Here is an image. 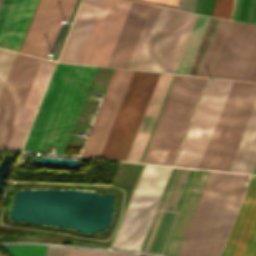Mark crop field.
<instances>
[{
  "label": "crop field",
  "mask_w": 256,
  "mask_h": 256,
  "mask_svg": "<svg viewBox=\"0 0 256 256\" xmlns=\"http://www.w3.org/2000/svg\"><path fill=\"white\" fill-rule=\"evenodd\" d=\"M159 75L114 70L80 156L127 160Z\"/></svg>",
  "instance_id": "1"
},
{
  "label": "crop field",
  "mask_w": 256,
  "mask_h": 256,
  "mask_svg": "<svg viewBox=\"0 0 256 256\" xmlns=\"http://www.w3.org/2000/svg\"><path fill=\"white\" fill-rule=\"evenodd\" d=\"M97 68L56 64L23 150L64 153Z\"/></svg>",
  "instance_id": "2"
},
{
  "label": "crop field",
  "mask_w": 256,
  "mask_h": 256,
  "mask_svg": "<svg viewBox=\"0 0 256 256\" xmlns=\"http://www.w3.org/2000/svg\"><path fill=\"white\" fill-rule=\"evenodd\" d=\"M42 59L17 53L0 95V147L6 148ZM55 63L42 60L7 148L20 149Z\"/></svg>",
  "instance_id": "3"
},
{
  "label": "crop field",
  "mask_w": 256,
  "mask_h": 256,
  "mask_svg": "<svg viewBox=\"0 0 256 256\" xmlns=\"http://www.w3.org/2000/svg\"><path fill=\"white\" fill-rule=\"evenodd\" d=\"M197 16L152 5L127 68L175 73Z\"/></svg>",
  "instance_id": "4"
},
{
  "label": "crop field",
  "mask_w": 256,
  "mask_h": 256,
  "mask_svg": "<svg viewBox=\"0 0 256 256\" xmlns=\"http://www.w3.org/2000/svg\"><path fill=\"white\" fill-rule=\"evenodd\" d=\"M206 80L176 76L142 162L173 164Z\"/></svg>",
  "instance_id": "5"
},
{
  "label": "crop field",
  "mask_w": 256,
  "mask_h": 256,
  "mask_svg": "<svg viewBox=\"0 0 256 256\" xmlns=\"http://www.w3.org/2000/svg\"><path fill=\"white\" fill-rule=\"evenodd\" d=\"M256 100V83L234 81L199 168L227 171Z\"/></svg>",
  "instance_id": "6"
},
{
  "label": "crop field",
  "mask_w": 256,
  "mask_h": 256,
  "mask_svg": "<svg viewBox=\"0 0 256 256\" xmlns=\"http://www.w3.org/2000/svg\"><path fill=\"white\" fill-rule=\"evenodd\" d=\"M171 168L145 165L112 248L138 251Z\"/></svg>",
  "instance_id": "7"
},
{
  "label": "crop field",
  "mask_w": 256,
  "mask_h": 256,
  "mask_svg": "<svg viewBox=\"0 0 256 256\" xmlns=\"http://www.w3.org/2000/svg\"><path fill=\"white\" fill-rule=\"evenodd\" d=\"M233 81H208L175 166L198 168Z\"/></svg>",
  "instance_id": "8"
},
{
  "label": "crop field",
  "mask_w": 256,
  "mask_h": 256,
  "mask_svg": "<svg viewBox=\"0 0 256 256\" xmlns=\"http://www.w3.org/2000/svg\"><path fill=\"white\" fill-rule=\"evenodd\" d=\"M196 171L173 169L140 252L164 253Z\"/></svg>",
  "instance_id": "9"
},
{
  "label": "crop field",
  "mask_w": 256,
  "mask_h": 256,
  "mask_svg": "<svg viewBox=\"0 0 256 256\" xmlns=\"http://www.w3.org/2000/svg\"><path fill=\"white\" fill-rule=\"evenodd\" d=\"M246 176L227 174L194 256L220 255L247 188L242 187Z\"/></svg>",
  "instance_id": "10"
},
{
  "label": "crop field",
  "mask_w": 256,
  "mask_h": 256,
  "mask_svg": "<svg viewBox=\"0 0 256 256\" xmlns=\"http://www.w3.org/2000/svg\"><path fill=\"white\" fill-rule=\"evenodd\" d=\"M256 65V25L232 21L211 77L249 81Z\"/></svg>",
  "instance_id": "11"
},
{
  "label": "crop field",
  "mask_w": 256,
  "mask_h": 256,
  "mask_svg": "<svg viewBox=\"0 0 256 256\" xmlns=\"http://www.w3.org/2000/svg\"><path fill=\"white\" fill-rule=\"evenodd\" d=\"M131 2L130 0H103L79 63L107 65Z\"/></svg>",
  "instance_id": "12"
},
{
  "label": "crop field",
  "mask_w": 256,
  "mask_h": 256,
  "mask_svg": "<svg viewBox=\"0 0 256 256\" xmlns=\"http://www.w3.org/2000/svg\"><path fill=\"white\" fill-rule=\"evenodd\" d=\"M71 0H40L20 49L21 53L49 58ZM66 25L63 24L51 54L55 55Z\"/></svg>",
  "instance_id": "13"
},
{
  "label": "crop field",
  "mask_w": 256,
  "mask_h": 256,
  "mask_svg": "<svg viewBox=\"0 0 256 256\" xmlns=\"http://www.w3.org/2000/svg\"><path fill=\"white\" fill-rule=\"evenodd\" d=\"M256 251V176H253L220 256H254Z\"/></svg>",
  "instance_id": "14"
},
{
  "label": "crop field",
  "mask_w": 256,
  "mask_h": 256,
  "mask_svg": "<svg viewBox=\"0 0 256 256\" xmlns=\"http://www.w3.org/2000/svg\"><path fill=\"white\" fill-rule=\"evenodd\" d=\"M37 0H2L0 47L17 50Z\"/></svg>",
  "instance_id": "15"
},
{
  "label": "crop field",
  "mask_w": 256,
  "mask_h": 256,
  "mask_svg": "<svg viewBox=\"0 0 256 256\" xmlns=\"http://www.w3.org/2000/svg\"><path fill=\"white\" fill-rule=\"evenodd\" d=\"M151 5L132 2L107 66L126 68Z\"/></svg>",
  "instance_id": "16"
},
{
  "label": "crop field",
  "mask_w": 256,
  "mask_h": 256,
  "mask_svg": "<svg viewBox=\"0 0 256 256\" xmlns=\"http://www.w3.org/2000/svg\"><path fill=\"white\" fill-rule=\"evenodd\" d=\"M227 173L212 172L178 256H193Z\"/></svg>",
  "instance_id": "17"
},
{
  "label": "crop field",
  "mask_w": 256,
  "mask_h": 256,
  "mask_svg": "<svg viewBox=\"0 0 256 256\" xmlns=\"http://www.w3.org/2000/svg\"><path fill=\"white\" fill-rule=\"evenodd\" d=\"M211 172L198 170L164 254L177 256Z\"/></svg>",
  "instance_id": "18"
},
{
  "label": "crop field",
  "mask_w": 256,
  "mask_h": 256,
  "mask_svg": "<svg viewBox=\"0 0 256 256\" xmlns=\"http://www.w3.org/2000/svg\"><path fill=\"white\" fill-rule=\"evenodd\" d=\"M173 75L161 74L127 161L139 162Z\"/></svg>",
  "instance_id": "19"
},
{
  "label": "crop field",
  "mask_w": 256,
  "mask_h": 256,
  "mask_svg": "<svg viewBox=\"0 0 256 256\" xmlns=\"http://www.w3.org/2000/svg\"><path fill=\"white\" fill-rule=\"evenodd\" d=\"M256 166V103L228 171L252 174Z\"/></svg>",
  "instance_id": "20"
},
{
  "label": "crop field",
  "mask_w": 256,
  "mask_h": 256,
  "mask_svg": "<svg viewBox=\"0 0 256 256\" xmlns=\"http://www.w3.org/2000/svg\"><path fill=\"white\" fill-rule=\"evenodd\" d=\"M219 20L218 18H209L187 75H198Z\"/></svg>",
  "instance_id": "21"
},
{
  "label": "crop field",
  "mask_w": 256,
  "mask_h": 256,
  "mask_svg": "<svg viewBox=\"0 0 256 256\" xmlns=\"http://www.w3.org/2000/svg\"><path fill=\"white\" fill-rule=\"evenodd\" d=\"M209 17L199 15L176 73L186 74Z\"/></svg>",
  "instance_id": "22"
},
{
  "label": "crop field",
  "mask_w": 256,
  "mask_h": 256,
  "mask_svg": "<svg viewBox=\"0 0 256 256\" xmlns=\"http://www.w3.org/2000/svg\"><path fill=\"white\" fill-rule=\"evenodd\" d=\"M234 0H197L194 13L230 19Z\"/></svg>",
  "instance_id": "23"
},
{
  "label": "crop field",
  "mask_w": 256,
  "mask_h": 256,
  "mask_svg": "<svg viewBox=\"0 0 256 256\" xmlns=\"http://www.w3.org/2000/svg\"><path fill=\"white\" fill-rule=\"evenodd\" d=\"M229 22L230 21L223 20V19L220 20L198 76L208 77L214 58L219 49V46L221 44V41L223 39V36L225 34V31L228 27Z\"/></svg>",
  "instance_id": "24"
},
{
  "label": "crop field",
  "mask_w": 256,
  "mask_h": 256,
  "mask_svg": "<svg viewBox=\"0 0 256 256\" xmlns=\"http://www.w3.org/2000/svg\"><path fill=\"white\" fill-rule=\"evenodd\" d=\"M236 20L256 23V0H240Z\"/></svg>",
  "instance_id": "25"
},
{
  "label": "crop field",
  "mask_w": 256,
  "mask_h": 256,
  "mask_svg": "<svg viewBox=\"0 0 256 256\" xmlns=\"http://www.w3.org/2000/svg\"><path fill=\"white\" fill-rule=\"evenodd\" d=\"M47 246L18 245L5 247L13 256H44Z\"/></svg>",
  "instance_id": "26"
},
{
  "label": "crop field",
  "mask_w": 256,
  "mask_h": 256,
  "mask_svg": "<svg viewBox=\"0 0 256 256\" xmlns=\"http://www.w3.org/2000/svg\"><path fill=\"white\" fill-rule=\"evenodd\" d=\"M15 54V52L0 49V92Z\"/></svg>",
  "instance_id": "27"
},
{
  "label": "crop field",
  "mask_w": 256,
  "mask_h": 256,
  "mask_svg": "<svg viewBox=\"0 0 256 256\" xmlns=\"http://www.w3.org/2000/svg\"><path fill=\"white\" fill-rule=\"evenodd\" d=\"M107 252L66 248L64 256H106Z\"/></svg>",
  "instance_id": "28"
},
{
  "label": "crop field",
  "mask_w": 256,
  "mask_h": 256,
  "mask_svg": "<svg viewBox=\"0 0 256 256\" xmlns=\"http://www.w3.org/2000/svg\"><path fill=\"white\" fill-rule=\"evenodd\" d=\"M136 1L164 5V6H169V7L178 9V7H179L178 3L180 0H136Z\"/></svg>",
  "instance_id": "29"
},
{
  "label": "crop field",
  "mask_w": 256,
  "mask_h": 256,
  "mask_svg": "<svg viewBox=\"0 0 256 256\" xmlns=\"http://www.w3.org/2000/svg\"><path fill=\"white\" fill-rule=\"evenodd\" d=\"M196 0H181L179 9L193 12Z\"/></svg>",
  "instance_id": "30"
},
{
  "label": "crop field",
  "mask_w": 256,
  "mask_h": 256,
  "mask_svg": "<svg viewBox=\"0 0 256 256\" xmlns=\"http://www.w3.org/2000/svg\"><path fill=\"white\" fill-rule=\"evenodd\" d=\"M60 247L48 246L45 256H58Z\"/></svg>",
  "instance_id": "31"
},
{
  "label": "crop field",
  "mask_w": 256,
  "mask_h": 256,
  "mask_svg": "<svg viewBox=\"0 0 256 256\" xmlns=\"http://www.w3.org/2000/svg\"><path fill=\"white\" fill-rule=\"evenodd\" d=\"M75 2H76V0H72V2H71V4H70V7H69V9H68V12H67V14H66V17H65V19H64V20H66V21H68V20H69V18H70V15H71V12H72V10H73V7H74Z\"/></svg>",
  "instance_id": "32"
},
{
  "label": "crop field",
  "mask_w": 256,
  "mask_h": 256,
  "mask_svg": "<svg viewBox=\"0 0 256 256\" xmlns=\"http://www.w3.org/2000/svg\"><path fill=\"white\" fill-rule=\"evenodd\" d=\"M107 256H135V255L126 254V253L108 252Z\"/></svg>",
  "instance_id": "33"
},
{
  "label": "crop field",
  "mask_w": 256,
  "mask_h": 256,
  "mask_svg": "<svg viewBox=\"0 0 256 256\" xmlns=\"http://www.w3.org/2000/svg\"><path fill=\"white\" fill-rule=\"evenodd\" d=\"M250 81L256 82V68L254 70V73H253L252 78H251Z\"/></svg>",
  "instance_id": "34"
},
{
  "label": "crop field",
  "mask_w": 256,
  "mask_h": 256,
  "mask_svg": "<svg viewBox=\"0 0 256 256\" xmlns=\"http://www.w3.org/2000/svg\"><path fill=\"white\" fill-rule=\"evenodd\" d=\"M64 249H65V248H63V247L60 248L59 256H63Z\"/></svg>",
  "instance_id": "35"
},
{
  "label": "crop field",
  "mask_w": 256,
  "mask_h": 256,
  "mask_svg": "<svg viewBox=\"0 0 256 256\" xmlns=\"http://www.w3.org/2000/svg\"><path fill=\"white\" fill-rule=\"evenodd\" d=\"M253 174H256V168H255V171H254V173Z\"/></svg>",
  "instance_id": "36"
},
{
  "label": "crop field",
  "mask_w": 256,
  "mask_h": 256,
  "mask_svg": "<svg viewBox=\"0 0 256 256\" xmlns=\"http://www.w3.org/2000/svg\"><path fill=\"white\" fill-rule=\"evenodd\" d=\"M0 256H2V255L0 254Z\"/></svg>",
  "instance_id": "37"
},
{
  "label": "crop field",
  "mask_w": 256,
  "mask_h": 256,
  "mask_svg": "<svg viewBox=\"0 0 256 256\" xmlns=\"http://www.w3.org/2000/svg\"><path fill=\"white\" fill-rule=\"evenodd\" d=\"M0 2H1V0H0Z\"/></svg>",
  "instance_id": "38"
}]
</instances>
